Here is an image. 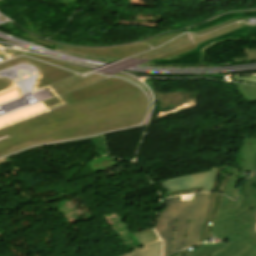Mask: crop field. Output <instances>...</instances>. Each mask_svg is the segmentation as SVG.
Returning <instances> with one entry per match:
<instances>
[{"label":"crop field","mask_w":256,"mask_h":256,"mask_svg":"<svg viewBox=\"0 0 256 256\" xmlns=\"http://www.w3.org/2000/svg\"><path fill=\"white\" fill-rule=\"evenodd\" d=\"M209 194H194V202L186 203H179L180 196L164 199L155 229L165 239V256L197 243Z\"/></svg>","instance_id":"2"},{"label":"crop field","mask_w":256,"mask_h":256,"mask_svg":"<svg viewBox=\"0 0 256 256\" xmlns=\"http://www.w3.org/2000/svg\"><path fill=\"white\" fill-rule=\"evenodd\" d=\"M240 165L241 168L233 167L232 176L224 192L232 200L236 198L235 187L239 171H253V174L256 173V134L249 138H243L240 151Z\"/></svg>","instance_id":"3"},{"label":"crop field","mask_w":256,"mask_h":256,"mask_svg":"<svg viewBox=\"0 0 256 256\" xmlns=\"http://www.w3.org/2000/svg\"><path fill=\"white\" fill-rule=\"evenodd\" d=\"M217 168L211 171L203 172L196 175L161 181L160 183L166 189V192L183 190L198 186H204L203 192L211 191L215 172Z\"/></svg>","instance_id":"4"},{"label":"crop field","mask_w":256,"mask_h":256,"mask_svg":"<svg viewBox=\"0 0 256 256\" xmlns=\"http://www.w3.org/2000/svg\"><path fill=\"white\" fill-rule=\"evenodd\" d=\"M254 231H255V233H256V224H255V226H254Z\"/></svg>","instance_id":"15"},{"label":"crop field","mask_w":256,"mask_h":256,"mask_svg":"<svg viewBox=\"0 0 256 256\" xmlns=\"http://www.w3.org/2000/svg\"><path fill=\"white\" fill-rule=\"evenodd\" d=\"M221 195L222 194H214V193L210 194V201H209L206 217L204 220L203 228H202L198 243L207 241L209 227H210V224H211L213 218H215V216L218 212Z\"/></svg>","instance_id":"5"},{"label":"crop field","mask_w":256,"mask_h":256,"mask_svg":"<svg viewBox=\"0 0 256 256\" xmlns=\"http://www.w3.org/2000/svg\"><path fill=\"white\" fill-rule=\"evenodd\" d=\"M256 218V175L238 189V200L230 201L222 195L211 236L218 242L207 244L197 256H256V235L253 226Z\"/></svg>","instance_id":"1"},{"label":"crop field","mask_w":256,"mask_h":256,"mask_svg":"<svg viewBox=\"0 0 256 256\" xmlns=\"http://www.w3.org/2000/svg\"><path fill=\"white\" fill-rule=\"evenodd\" d=\"M203 187H198V188H193V189H188V190H183V191H177V192H184V191H191V190H199L202 189ZM171 193H176V192H171ZM165 194H170V193H165Z\"/></svg>","instance_id":"12"},{"label":"crop field","mask_w":256,"mask_h":256,"mask_svg":"<svg viewBox=\"0 0 256 256\" xmlns=\"http://www.w3.org/2000/svg\"><path fill=\"white\" fill-rule=\"evenodd\" d=\"M199 1V3H201V2H205V1H208V0H198Z\"/></svg>","instance_id":"13"},{"label":"crop field","mask_w":256,"mask_h":256,"mask_svg":"<svg viewBox=\"0 0 256 256\" xmlns=\"http://www.w3.org/2000/svg\"><path fill=\"white\" fill-rule=\"evenodd\" d=\"M243 54H247L248 57L243 58H235L233 62L241 61V60H253L256 59V48H246Z\"/></svg>","instance_id":"9"},{"label":"crop field","mask_w":256,"mask_h":256,"mask_svg":"<svg viewBox=\"0 0 256 256\" xmlns=\"http://www.w3.org/2000/svg\"><path fill=\"white\" fill-rule=\"evenodd\" d=\"M206 244H201L198 248H196L195 250L189 252L191 253L192 255L190 256H195L197 255L198 253H200L204 248H205Z\"/></svg>","instance_id":"11"},{"label":"crop field","mask_w":256,"mask_h":256,"mask_svg":"<svg viewBox=\"0 0 256 256\" xmlns=\"http://www.w3.org/2000/svg\"><path fill=\"white\" fill-rule=\"evenodd\" d=\"M122 256H161V241L124 254Z\"/></svg>","instance_id":"6"},{"label":"crop field","mask_w":256,"mask_h":256,"mask_svg":"<svg viewBox=\"0 0 256 256\" xmlns=\"http://www.w3.org/2000/svg\"><path fill=\"white\" fill-rule=\"evenodd\" d=\"M237 86L240 89L241 93L244 95V97L252 102H256V86L245 84H237Z\"/></svg>","instance_id":"8"},{"label":"crop field","mask_w":256,"mask_h":256,"mask_svg":"<svg viewBox=\"0 0 256 256\" xmlns=\"http://www.w3.org/2000/svg\"><path fill=\"white\" fill-rule=\"evenodd\" d=\"M213 222H214V220H213ZM213 222H212V224H211V228H212ZM211 228H210V232H211ZM210 232H209V234H210Z\"/></svg>","instance_id":"14"},{"label":"crop field","mask_w":256,"mask_h":256,"mask_svg":"<svg viewBox=\"0 0 256 256\" xmlns=\"http://www.w3.org/2000/svg\"><path fill=\"white\" fill-rule=\"evenodd\" d=\"M232 80L241 83L255 84L256 85V77H232Z\"/></svg>","instance_id":"10"},{"label":"crop field","mask_w":256,"mask_h":256,"mask_svg":"<svg viewBox=\"0 0 256 256\" xmlns=\"http://www.w3.org/2000/svg\"><path fill=\"white\" fill-rule=\"evenodd\" d=\"M133 234L142 245L159 240L152 228L138 231Z\"/></svg>","instance_id":"7"}]
</instances>
